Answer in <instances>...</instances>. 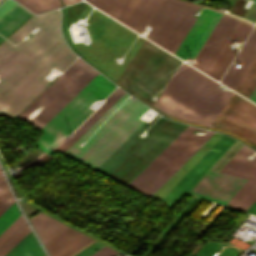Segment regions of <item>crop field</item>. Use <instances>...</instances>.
Masks as SVG:
<instances>
[{
	"mask_svg": "<svg viewBox=\"0 0 256 256\" xmlns=\"http://www.w3.org/2000/svg\"><path fill=\"white\" fill-rule=\"evenodd\" d=\"M59 10L33 15L7 39L13 44L36 25L41 29L16 47L0 44V115L16 118L57 77L43 79L54 67L63 71L76 58L62 39Z\"/></svg>",
	"mask_w": 256,
	"mask_h": 256,
	"instance_id": "8a807250",
	"label": "crop field"
},
{
	"mask_svg": "<svg viewBox=\"0 0 256 256\" xmlns=\"http://www.w3.org/2000/svg\"><path fill=\"white\" fill-rule=\"evenodd\" d=\"M217 84L181 64L153 105L181 120L210 126L232 95L220 90Z\"/></svg>",
	"mask_w": 256,
	"mask_h": 256,
	"instance_id": "ac0d7876",
	"label": "crop field"
},
{
	"mask_svg": "<svg viewBox=\"0 0 256 256\" xmlns=\"http://www.w3.org/2000/svg\"><path fill=\"white\" fill-rule=\"evenodd\" d=\"M129 95L126 93L109 108L64 154L86 166L96 169L118 146H120L142 123L138 118L149 108L129 97L88 139L85 140Z\"/></svg>",
	"mask_w": 256,
	"mask_h": 256,
	"instance_id": "34b2d1b8",
	"label": "crop field"
},
{
	"mask_svg": "<svg viewBox=\"0 0 256 256\" xmlns=\"http://www.w3.org/2000/svg\"><path fill=\"white\" fill-rule=\"evenodd\" d=\"M149 126L144 122L96 171L127 186L188 127L159 117L147 130L149 134L138 139Z\"/></svg>",
	"mask_w": 256,
	"mask_h": 256,
	"instance_id": "412701ff",
	"label": "crop field"
},
{
	"mask_svg": "<svg viewBox=\"0 0 256 256\" xmlns=\"http://www.w3.org/2000/svg\"><path fill=\"white\" fill-rule=\"evenodd\" d=\"M180 61L146 40L117 81L153 104L150 97L163 87Z\"/></svg>",
	"mask_w": 256,
	"mask_h": 256,
	"instance_id": "f4fd0767",
	"label": "crop field"
},
{
	"mask_svg": "<svg viewBox=\"0 0 256 256\" xmlns=\"http://www.w3.org/2000/svg\"><path fill=\"white\" fill-rule=\"evenodd\" d=\"M114 88V84L98 73L40 129L44 133L34 145L49 154L92 112L86 107L94 100L106 97Z\"/></svg>",
	"mask_w": 256,
	"mask_h": 256,
	"instance_id": "dd49c442",
	"label": "crop field"
},
{
	"mask_svg": "<svg viewBox=\"0 0 256 256\" xmlns=\"http://www.w3.org/2000/svg\"><path fill=\"white\" fill-rule=\"evenodd\" d=\"M97 73L78 58L19 118L26 121L37 105L40 103L47 105L38 115L27 121L40 129Z\"/></svg>",
	"mask_w": 256,
	"mask_h": 256,
	"instance_id": "e52e79f7",
	"label": "crop field"
},
{
	"mask_svg": "<svg viewBox=\"0 0 256 256\" xmlns=\"http://www.w3.org/2000/svg\"><path fill=\"white\" fill-rule=\"evenodd\" d=\"M211 127L236 134L256 147V106L233 93Z\"/></svg>",
	"mask_w": 256,
	"mask_h": 256,
	"instance_id": "d8731c3e",
	"label": "crop field"
},
{
	"mask_svg": "<svg viewBox=\"0 0 256 256\" xmlns=\"http://www.w3.org/2000/svg\"><path fill=\"white\" fill-rule=\"evenodd\" d=\"M194 5L181 0H163L148 22L153 28L147 37L168 49Z\"/></svg>",
	"mask_w": 256,
	"mask_h": 256,
	"instance_id": "5a996713",
	"label": "crop field"
},
{
	"mask_svg": "<svg viewBox=\"0 0 256 256\" xmlns=\"http://www.w3.org/2000/svg\"><path fill=\"white\" fill-rule=\"evenodd\" d=\"M91 4L140 32L162 0H88Z\"/></svg>",
	"mask_w": 256,
	"mask_h": 256,
	"instance_id": "3316defc",
	"label": "crop field"
},
{
	"mask_svg": "<svg viewBox=\"0 0 256 256\" xmlns=\"http://www.w3.org/2000/svg\"><path fill=\"white\" fill-rule=\"evenodd\" d=\"M231 138V137H230ZM222 136L187 175L172 189L165 199L177 203L200 180L220 156L230 147L234 140Z\"/></svg>",
	"mask_w": 256,
	"mask_h": 256,
	"instance_id": "28ad6ade",
	"label": "crop field"
},
{
	"mask_svg": "<svg viewBox=\"0 0 256 256\" xmlns=\"http://www.w3.org/2000/svg\"><path fill=\"white\" fill-rule=\"evenodd\" d=\"M245 181L209 170L190 193L225 205Z\"/></svg>",
	"mask_w": 256,
	"mask_h": 256,
	"instance_id": "d1516ede",
	"label": "crop field"
},
{
	"mask_svg": "<svg viewBox=\"0 0 256 256\" xmlns=\"http://www.w3.org/2000/svg\"><path fill=\"white\" fill-rule=\"evenodd\" d=\"M201 130L189 126L175 141H173L143 172H141L128 187L141 192L197 135L192 130Z\"/></svg>",
	"mask_w": 256,
	"mask_h": 256,
	"instance_id": "22f410ed",
	"label": "crop field"
},
{
	"mask_svg": "<svg viewBox=\"0 0 256 256\" xmlns=\"http://www.w3.org/2000/svg\"><path fill=\"white\" fill-rule=\"evenodd\" d=\"M238 23L239 20L222 14L194 59L199 62L197 68L207 73Z\"/></svg>",
	"mask_w": 256,
	"mask_h": 256,
	"instance_id": "cbeb9de0",
	"label": "crop field"
},
{
	"mask_svg": "<svg viewBox=\"0 0 256 256\" xmlns=\"http://www.w3.org/2000/svg\"><path fill=\"white\" fill-rule=\"evenodd\" d=\"M220 16L221 14L210 9H203L174 55L181 59L186 56L193 61Z\"/></svg>",
	"mask_w": 256,
	"mask_h": 256,
	"instance_id": "5142ce71",
	"label": "crop field"
},
{
	"mask_svg": "<svg viewBox=\"0 0 256 256\" xmlns=\"http://www.w3.org/2000/svg\"><path fill=\"white\" fill-rule=\"evenodd\" d=\"M256 55V29L252 31L234 61L242 64V68H237L231 64L227 72L223 76L221 83L235 90L247 68L251 64Z\"/></svg>",
	"mask_w": 256,
	"mask_h": 256,
	"instance_id": "d9b57169",
	"label": "crop field"
},
{
	"mask_svg": "<svg viewBox=\"0 0 256 256\" xmlns=\"http://www.w3.org/2000/svg\"><path fill=\"white\" fill-rule=\"evenodd\" d=\"M91 240L93 239L68 227L44 245L51 256H69Z\"/></svg>",
	"mask_w": 256,
	"mask_h": 256,
	"instance_id": "733c2abd",
	"label": "crop field"
},
{
	"mask_svg": "<svg viewBox=\"0 0 256 256\" xmlns=\"http://www.w3.org/2000/svg\"><path fill=\"white\" fill-rule=\"evenodd\" d=\"M251 28L252 26H250L249 24L240 21L237 28L229 38L228 42L220 52L219 56L217 57L207 74L218 80L221 78L222 74L226 70L227 66L229 65L237 51L236 48L235 50H231L229 46L230 42H243L248 33L250 32Z\"/></svg>",
	"mask_w": 256,
	"mask_h": 256,
	"instance_id": "4a817a6b",
	"label": "crop field"
},
{
	"mask_svg": "<svg viewBox=\"0 0 256 256\" xmlns=\"http://www.w3.org/2000/svg\"><path fill=\"white\" fill-rule=\"evenodd\" d=\"M253 152L243 145L220 172L256 181V156L252 161L245 159Z\"/></svg>",
	"mask_w": 256,
	"mask_h": 256,
	"instance_id": "bc2a9ffb",
	"label": "crop field"
},
{
	"mask_svg": "<svg viewBox=\"0 0 256 256\" xmlns=\"http://www.w3.org/2000/svg\"><path fill=\"white\" fill-rule=\"evenodd\" d=\"M125 92L118 87L107 97L106 101L96 111L92 112L74 131V137L69 141L65 138L55 150L63 153L77 138H79L109 107H111Z\"/></svg>",
	"mask_w": 256,
	"mask_h": 256,
	"instance_id": "214f88e0",
	"label": "crop field"
},
{
	"mask_svg": "<svg viewBox=\"0 0 256 256\" xmlns=\"http://www.w3.org/2000/svg\"><path fill=\"white\" fill-rule=\"evenodd\" d=\"M32 15L18 4L13 6L0 18V33L7 38Z\"/></svg>",
	"mask_w": 256,
	"mask_h": 256,
	"instance_id": "92a150f3",
	"label": "crop field"
},
{
	"mask_svg": "<svg viewBox=\"0 0 256 256\" xmlns=\"http://www.w3.org/2000/svg\"><path fill=\"white\" fill-rule=\"evenodd\" d=\"M35 222L37 223L39 229L41 230L42 234L44 235L46 241L58 234L60 231L65 229L66 225L56 221L55 219L51 218L50 216L40 212L39 214L35 215L34 217ZM33 218L29 219L32 226L34 227L35 231L39 235L43 244L46 242L44 237L42 236L40 230L38 229L37 225L35 224Z\"/></svg>",
	"mask_w": 256,
	"mask_h": 256,
	"instance_id": "dafd665d",
	"label": "crop field"
},
{
	"mask_svg": "<svg viewBox=\"0 0 256 256\" xmlns=\"http://www.w3.org/2000/svg\"><path fill=\"white\" fill-rule=\"evenodd\" d=\"M256 200V182L247 180L228 202L233 208L245 212Z\"/></svg>",
	"mask_w": 256,
	"mask_h": 256,
	"instance_id": "00972430",
	"label": "crop field"
},
{
	"mask_svg": "<svg viewBox=\"0 0 256 256\" xmlns=\"http://www.w3.org/2000/svg\"><path fill=\"white\" fill-rule=\"evenodd\" d=\"M25 221L0 244V256H5L29 232Z\"/></svg>",
	"mask_w": 256,
	"mask_h": 256,
	"instance_id": "a9b5d70f",
	"label": "crop field"
},
{
	"mask_svg": "<svg viewBox=\"0 0 256 256\" xmlns=\"http://www.w3.org/2000/svg\"><path fill=\"white\" fill-rule=\"evenodd\" d=\"M256 87V58L244 75L235 91L249 98L252 91Z\"/></svg>",
	"mask_w": 256,
	"mask_h": 256,
	"instance_id": "4177f3b9",
	"label": "crop field"
},
{
	"mask_svg": "<svg viewBox=\"0 0 256 256\" xmlns=\"http://www.w3.org/2000/svg\"><path fill=\"white\" fill-rule=\"evenodd\" d=\"M210 132V131H209ZM207 132V134L209 133ZM206 134V135H207ZM206 135L198 136L188 145L143 191L146 194L161 178H163L193 147H195Z\"/></svg>",
	"mask_w": 256,
	"mask_h": 256,
	"instance_id": "730fd06b",
	"label": "crop field"
},
{
	"mask_svg": "<svg viewBox=\"0 0 256 256\" xmlns=\"http://www.w3.org/2000/svg\"><path fill=\"white\" fill-rule=\"evenodd\" d=\"M21 4L23 3L26 8L35 13H40L46 10H50L59 7L58 0H17Z\"/></svg>",
	"mask_w": 256,
	"mask_h": 256,
	"instance_id": "eef30255",
	"label": "crop field"
},
{
	"mask_svg": "<svg viewBox=\"0 0 256 256\" xmlns=\"http://www.w3.org/2000/svg\"><path fill=\"white\" fill-rule=\"evenodd\" d=\"M12 256H45L34 235Z\"/></svg>",
	"mask_w": 256,
	"mask_h": 256,
	"instance_id": "ae1a2a85",
	"label": "crop field"
},
{
	"mask_svg": "<svg viewBox=\"0 0 256 256\" xmlns=\"http://www.w3.org/2000/svg\"><path fill=\"white\" fill-rule=\"evenodd\" d=\"M198 8H199V6L195 5L194 9L190 13L189 17L185 21V23L182 26V28L180 29L179 33L175 37L174 41L170 45L168 50H170L173 54L176 51V49L178 48V46L181 43V41L183 40V38L185 37V35L187 34L188 30L190 29V27L192 26L194 21L196 20V18L193 17L192 14L195 13L198 10Z\"/></svg>",
	"mask_w": 256,
	"mask_h": 256,
	"instance_id": "d3111659",
	"label": "crop field"
},
{
	"mask_svg": "<svg viewBox=\"0 0 256 256\" xmlns=\"http://www.w3.org/2000/svg\"><path fill=\"white\" fill-rule=\"evenodd\" d=\"M210 132L195 148H193L163 179H161L148 193L151 196L211 135Z\"/></svg>",
	"mask_w": 256,
	"mask_h": 256,
	"instance_id": "750c4746",
	"label": "crop field"
},
{
	"mask_svg": "<svg viewBox=\"0 0 256 256\" xmlns=\"http://www.w3.org/2000/svg\"><path fill=\"white\" fill-rule=\"evenodd\" d=\"M20 215L15 203H13L2 215H0V233ZM9 227V226H8Z\"/></svg>",
	"mask_w": 256,
	"mask_h": 256,
	"instance_id": "bd1437ed",
	"label": "crop field"
},
{
	"mask_svg": "<svg viewBox=\"0 0 256 256\" xmlns=\"http://www.w3.org/2000/svg\"><path fill=\"white\" fill-rule=\"evenodd\" d=\"M14 202L11 193L4 181L0 182V214H2Z\"/></svg>",
	"mask_w": 256,
	"mask_h": 256,
	"instance_id": "1d83c4d3",
	"label": "crop field"
},
{
	"mask_svg": "<svg viewBox=\"0 0 256 256\" xmlns=\"http://www.w3.org/2000/svg\"><path fill=\"white\" fill-rule=\"evenodd\" d=\"M23 218L21 215L0 234V243L12 232L14 231L22 222Z\"/></svg>",
	"mask_w": 256,
	"mask_h": 256,
	"instance_id": "120bbe31",
	"label": "crop field"
},
{
	"mask_svg": "<svg viewBox=\"0 0 256 256\" xmlns=\"http://www.w3.org/2000/svg\"><path fill=\"white\" fill-rule=\"evenodd\" d=\"M116 253H118V252H116V251H114V250L105 246V247L101 248L100 250H98V252L94 253L91 256H113Z\"/></svg>",
	"mask_w": 256,
	"mask_h": 256,
	"instance_id": "d32e631a",
	"label": "crop field"
},
{
	"mask_svg": "<svg viewBox=\"0 0 256 256\" xmlns=\"http://www.w3.org/2000/svg\"><path fill=\"white\" fill-rule=\"evenodd\" d=\"M17 3H15L14 1L12 0H7L5 3H3L1 6H0V17L6 12L8 11L13 5H15Z\"/></svg>",
	"mask_w": 256,
	"mask_h": 256,
	"instance_id": "5866460e",
	"label": "crop field"
},
{
	"mask_svg": "<svg viewBox=\"0 0 256 256\" xmlns=\"http://www.w3.org/2000/svg\"><path fill=\"white\" fill-rule=\"evenodd\" d=\"M33 235L30 232L22 241H20L6 256H11L23 243H25Z\"/></svg>",
	"mask_w": 256,
	"mask_h": 256,
	"instance_id": "028f5c9d",
	"label": "crop field"
},
{
	"mask_svg": "<svg viewBox=\"0 0 256 256\" xmlns=\"http://www.w3.org/2000/svg\"><path fill=\"white\" fill-rule=\"evenodd\" d=\"M247 212H250L252 214L256 215V202L252 204V206L247 210Z\"/></svg>",
	"mask_w": 256,
	"mask_h": 256,
	"instance_id": "e1f06a70",
	"label": "crop field"
},
{
	"mask_svg": "<svg viewBox=\"0 0 256 256\" xmlns=\"http://www.w3.org/2000/svg\"><path fill=\"white\" fill-rule=\"evenodd\" d=\"M64 5H67V4H71V3H74V2H77V1H80V0H62Z\"/></svg>",
	"mask_w": 256,
	"mask_h": 256,
	"instance_id": "0bd39190",
	"label": "crop field"
},
{
	"mask_svg": "<svg viewBox=\"0 0 256 256\" xmlns=\"http://www.w3.org/2000/svg\"><path fill=\"white\" fill-rule=\"evenodd\" d=\"M249 99H251V100L256 102V88H255L254 92L252 93V95H251V97Z\"/></svg>",
	"mask_w": 256,
	"mask_h": 256,
	"instance_id": "b80d0937",
	"label": "crop field"
},
{
	"mask_svg": "<svg viewBox=\"0 0 256 256\" xmlns=\"http://www.w3.org/2000/svg\"><path fill=\"white\" fill-rule=\"evenodd\" d=\"M5 39H3L1 36H0V43H2Z\"/></svg>",
	"mask_w": 256,
	"mask_h": 256,
	"instance_id": "c035e120",
	"label": "crop field"
},
{
	"mask_svg": "<svg viewBox=\"0 0 256 256\" xmlns=\"http://www.w3.org/2000/svg\"><path fill=\"white\" fill-rule=\"evenodd\" d=\"M3 179L2 175H1V172H0V181Z\"/></svg>",
	"mask_w": 256,
	"mask_h": 256,
	"instance_id": "c21b1889",
	"label": "crop field"
},
{
	"mask_svg": "<svg viewBox=\"0 0 256 256\" xmlns=\"http://www.w3.org/2000/svg\"><path fill=\"white\" fill-rule=\"evenodd\" d=\"M3 0L0 1V3L2 2Z\"/></svg>",
	"mask_w": 256,
	"mask_h": 256,
	"instance_id": "03da06ac",
	"label": "crop field"
},
{
	"mask_svg": "<svg viewBox=\"0 0 256 256\" xmlns=\"http://www.w3.org/2000/svg\"><path fill=\"white\" fill-rule=\"evenodd\" d=\"M254 1H256V0H254Z\"/></svg>",
	"mask_w": 256,
	"mask_h": 256,
	"instance_id": "b54c1fbb",
	"label": "crop field"
}]
</instances>
